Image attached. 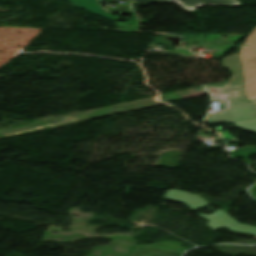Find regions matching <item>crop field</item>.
<instances>
[{"instance_id": "crop-field-1", "label": "crop field", "mask_w": 256, "mask_h": 256, "mask_svg": "<svg viewBox=\"0 0 256 256\" xmlns=\"http://www.w3.org/2000/svg\"><path fill=\"white\" fill-rule=\"evenodd\" d=\"M224 68H230L232 77L225 86L203 85L212 100H225L226 104L246 102L242 91L243 78L238 55L226 56L221 61Z\"/></svg>"}, {"instance_id": "crop-field-2", "label": "crop field", "mask_w": 256, "mask_h": 256, "mask_svg": "<svg viewBox=\"0 0 256 256\" xmlns=\"http://www.w3.org/2000/svg\"><path fill=\"white\" fill-rule=\"evenodd\" d=\"M249 44L248 47H244ZM240 48L239 55L244 65L245 92L251 101L256 98V28Z\"/></svg>"}, {"instance_id": "crop-field-3", "label": "crop field", "mask_w": 256, "mask_h": 256, "mask_svg": "<svg viewBox=\"0 0 256 256\" xmlns=\"http://www.w3.org/2000/svg\"><path fill=\"white\" fill-rule=\"evenodd\" d=\"M215 122H233L240 128L256 133V99L252 107L211 113L207 118V123Z\"/></svg>"}, {"instance_id": "crop-field-4", "label": "crop field", "mask_w": 256, "mask_h": 256, "mask_svg": "<svg viewBox=\"0 0 256 256\" xmlns=\"http://www.w3.org/2000/svg\"><path fill=\"white\" fill-rule=\"evenodd\" d=\"M201 216L210 221L207 224L213 230L220 227H227L231 231L256 235V227L240 224L222 210L211 215L202 214Z\"/></svg>"}, {"instance_id": "crop-field-5", "label": "crop field", "mask_w": 256, "mask_h": 256, "mask_svg": "<svg viewBox=\"0 0 256 256\" xmlns=\"http://www.w3.org/2000/svg\"><path fill=\"white\" fill-rule=\"evenodd\" d=\"M131 3L176 2L186 11L195 10L200 5H240L238 0H130Z\"/></svg>"}, {"instance_id": "crop-field-6", "label": "crop field", "mask_w": 256, "mask_h": 256, "mask_svg": "<svg viewBox=\"0 0 256 256\" xmlns=\"http://www.w3.org/2000/svg\"><path fill=\"white\" fill-rule=\"evenodd\" d=\"M164 198L183 202L193 210L208 205V202L203 200L200 196L184 193L178 190H169L168 192H166Z\"/></svg>"}, {"instance_id": "crop-field-7", "label": "crop field", "mask_w": 256, "mask_h": 256, "mask_svg": "<svg viewBox=\"0 0 256 256\" xmlns=\"http://www.w3.org/2000/svg\"><path fill=\"white\" fill-rule=\"evenodd\" d=\"M75 6H78L82 9L92 11L104 18L117 21L119 17L111 15L108 11L102 8L98 4V0H70Z\"/></svg>"}, {"instance_id": "crop-field-8", "label": "crop field", "mask_w": 256, "mask_h": 256, "mask_svg": "<svg viewBox=\"0 0 256 256\" xmlns=\"http://www.w3.org/2000/svg\"><path fill=\"white\" fill-rule=\"evenodd\" d=\"M248 103H250V102H247V103H244V104H241V105H246V104H248ZM241 105H239V106H241ZM237 107V106H236ZM233 108H235V107H233Z\"/></svg>"}, {"instance_id": "crop-field-9", "label": "crop field", "mask_w": 256, "mask_h": 256, "mask_svg": "<svg viewBox=\"0 0 256 256\" xmlns=\"http://www.w3.org/2000/svg\"><path fill=\"white\" fill-rule=\"evenodd\" d=\"M248 106H251V104H249V105H246V106H242V107H248ZM237 108H240V107H237Z\"/></svg>"}]
</instances>
